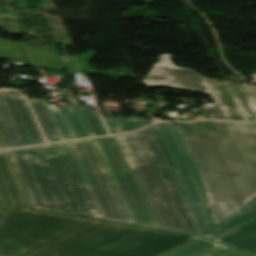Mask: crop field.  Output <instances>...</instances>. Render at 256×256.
<instances>
[{
    "mask_svg": "<svg viewBox=\"0 0 256 256\" xmlns=\"http://www.w3.org/2000/svg\"><path fill=\"white\" fill-rule=\"evenodd\" d=\"M193 238L27 209L0 220V256H158Z\"/></svg>",
    "mask_w": 256,
    "mask_h": 256,
    "instance_id": "8a807250",
    "label": "crop field"
},
{
    "mask_svg": "<svg viewBox=\"0 0 256 256\" xmlns=\"http://www.w3.org/2000/svg\"><path fill=\"white\" fill-rule=\"evenodd\" d=\"M116 137L160 229L201 235L215 225L197 168L173 123Z\"/></svg>",
    "mask_w": 256,
    "mask_h": 256,
    "instance_id": "ac0d7876",
    "label": "crop field"
},
{
    "mask_svg": "<svg viewBox=\"0 0 256 256\" xmlns=\"http://www.w3.org/2000/svg\"><path fill=\"white\" fill-rule=\"evenodd\" d=\"M200 173L215 223L256 196V135L248 123H177Z\"/></svg>",
    "mask_w": 256,
    "mask_h": 256,
    "instance_id": "34b2d1b8",
    "label": "crop field"
},
{
    "mask_svg": "<svg viewBox=\"0 0 256 256\" xmlns=\"http://www.w3.org/2000/svg\"><path fill=\"white\" fill-rule=\"evenodd\" d=\"M8 151L32 207L101 219L64 142Z\"/></svg>",
    "mask_w": 256,
    "mask_h": 256,
    "instance_id": "412701ff",
    "label": "crop field"
},
{
    "mask_svg": "<svg viewBox=\"0 0 256 256\" xmlns=\"http://www.w3.org/2000/svg\"><path fill=\"white\" fill-rule=\"evenodd\" d=\"M170 57V54L159 56V64L154 65L143 82L148 86L210 92L216 104L205 107V119L256 121V110L252 109L256 101L245 85L208 80L189 68L174 66Z\"/></svg>",
    "mask_w": 256,
    "mask_h": 256,
    "instance_id": "f4fd0767",
    "label": "crop field"
},
{
    "mask_svg": "<svg viewBox=\"0 0 256 256\" xmlns=\"http://www.w3.org/2000/svg\"><path fill=\"white\" fill-rule=\"evenodd\" d=\"M102 219L134 224L95 139L66 142Z\"/></svg>",
    "mask_w": 256,
    "mask_h": 256,
    "instance_id": "dd49c442",
    "label": "crop field"
},
{
    "mask_svg": "<svg viewBox=\"0 0 256 256\" xmlns=\"http://www.w3.org/2000/svg\"><path fill=\"white\" fill-rule=\"evenodd\" d=\"M96 140L135 224L159 229L116 137Z\"/></svg>",
    "mask_w": 256,
    "mask_h": 256,
    "instance_id": "e52e79f7",
    "label": "crop field"
},
{
    "mask_svg": "<svg viewBox=\"0 0 256 256\" xmlns=\"http://www.w3.org/2000/svg\"><path fill=\"white\" fill-rule=\"evenodd\" d=\"M0 130L8 148L45 143L19 90L0 89Z\"/></svg>",
    "mask_w": 256,
    "mask_h": 256,
    "instance_id": "d8731c3e",
    "label": "crop field"
},
{
    "mask_svg": "<svg viewBox=\"0 0 256 256\" xmlns=\"http://www.w3.org/2000/svg\"><path fill=\"white\" fill-rule=\"evenodd\" d=\"M0 203L31 208L7 150L0 151Z\"/></svg>",
    "mask_w": 256,
    "mask_h": 256,
    "instance_id": "5a996713",
    "label": "crop field"
},
{
    "mask_svg": "<svg viewBox=\"0 0 256 256\" xmlns=\"http://www.w3.org/2000/svg\"><path fill=\"white\" fill-rule=\"evenodd\" d=\"M256 219V197L236 210L219 224L213 226L202 236L213 240L252 220Z\"/></svg>",
    "mask_w": 256,
    "mask_h": 256,
    "instance_id": "3316defc",
    "label": "crop field"
},
{
    "mask_svg": "<svg viewBox=\"0 0 256 256\" xmlns=\"http://www.w3.org/2000/svg\"><path fill=\"white\" fill-rule=\"evenodd\" d=\"M215 241L256 256V221Z\"/></svg>",
    "mask_w": 256,
    "mask_h": 256,
    "instance_id": "28ad6ade",
    "label": "crop field"
},
{
    "mask_svg": "<svg viewBox=\"0 0 256 256\" xmlns=\"http://www.w3.org/2000/svg\"><path fill=\"white\" fill-rule=\"evenodd\" d=\"M71 105L59 108L75 138L94 136L89 123L75 97H68Z\"/></svg>",
    "mask_w": 256,
    "mask_h": 256,
    "instance_id": "d1516ede",
    "label": "crop field"
},
{
    "mask_svg": "<svg viewBox=\"0 0 256 256\" xmlns=\"http://www.w3.org/2000/svg\"><path fill=\"white\" fill-rule=\"evenodd\" d=\"M31 107L48 142L64 140L45 100L30 99Z\"/></svg>",
    "mask_w": 256,
    "mask_h": 256,
    "instance_id": "22f410ed",
    "label": "crop field"
},
{
    "mask_svg": "<svg viewBox=\"0 0 256 256\" xmlns=\"http://www.w3.org/2000/svg\"><path fill=\"white\" fill-rule=\"evenodd\" d=\"M34 65L54 69H65L55 46H37L26 44Z\"/></svg>",
    "mask_w": 256,
    "mask_h": 256,
    "instance_id": "cbeb9de0",
    "label": "crop field"
},
{
    "mask_svg": "<svg viewBox=\"0 0 256 256\" xmlns=\"http://www.w3.org/2000/svg\"><path fill=\"white\" fill-rule=\"evenodd\" d=\"M220 247V245L211 243L200 237H197L179 247H176L160 256H201L211 250Z\"/></svg>",
    "mask_w": 256,
    "mask_h": 256,
    "instance_id": "5142ce71",
    "label": "crop field"
},
{
    "mask_svg": "<svg viewBox=\"0 0 256 256\" xmlns=\"http://www.w3.org/2000/svg\"><path fill=\"white\" fill-rule=\"evenodd\" d=\"M0 58L29 60L23 43L0 39Z\"/></svg>",
    "mask_w": 256,
    "mask_h": 256,
    "instance_id": "d9b57169",
    "label": "crop field"
},
{
    "mask_svg": "<svg viewBox=\"0 0 256 256\" xmlns=\"http://www.w3.org/2000/svg\"><path fill=\"white\" fill-rule=\"evenodd\" d=\"M109 119L116 133L138 129L150 124L149 120L135 118V117H127V118L111 117Z\"/></svg>",
    "mask_w": 256,
    "mask_h": 256,
    "instance_id": "733c2abd",
    "label": "crop field"
},
{
    "mask_svg": "<svg viewBox=\"0 0 256 256\" xmlns=\"http://www.w3.org/2000/svg\"><path fill=\"white\" fill-rule=\"evenodd\" d=\"M89 123H90V126L94 132V135L95 136H98V135H108L99 115L95 114V113H92L89 111V109L87 107L85 108H82Z\"/></svg>",
    "mask_w": 256,
    "mask_h": 256,
    "instance_id": "4a817a6b",
    "label": "crop field"
},
{
    "mask_svg": "<svg viewBox=\"0 0 256 256\" xmlns=\"http://www.w3.org/2000/svg\"><path fill=\"white\" fill-rule=\"evenodd\" d=\"M68 73H85L77 56H60Z\"/></svg>",
    "mask_w": 256,
    "mask_h": 256,
    "instance_id": "bc2a9ffb",
    "label": "crop field"
},
{
    "mask_svg": "<svg viewBox=\"0 0 256 256\" xmlns=\"http://www.w3.org/2000/svg\"><path fill=\"white\" fill-rule=\"evenodd\" d=\"M49 107L54 115V118L60 128V131L64 137L65 140L67 139H72L73 136L70 133V131L68 130L67 126L65 125V123L63 122L62 118L60 117L56 107L54 106V104H49Z\"/></svg>",
    "mask_w": 256,
    "mask_h": 256,
    "instance_id": "214f88e0",
    "label": "crop field"
},
{
    "mask_svg": "<svg viewBox=\"0 0 256 256\" xmlns=\"http://www.w3.org/2000/svg\"><path fill=\"white\" fill-rule=\"evenodd\" d=\"M205 256H248V255L223 246L222 248Z\"/></svg>",
    "mask_w": 256,
    "mask_h": 256,
    "instance_id": "92a150f3",
    "label": "crop field"
},
{
    "mask_svg": "<svg viewBox=\"0 0 256 256\" xmlns=\"http://www.w3.org/2000/svg\"><path fill=\"white\" fill-rule=\"evenodd\" d=\"M95 55V52H87V53H82L79 55L80 61L87 72V74H98L97 70H91L88 66L89 60Z\"/></svg>",
    "mask_w": 256,
    "mask_h": 256,
    "instance_id": "dafd665d",
    "label": "crop field"
},
{
    "mask_svg": "<svg viewBox=\"0 0 256 256\" xmlns=\"http://www.w3.org/2000/svg\"><path fill=\"white\" fill-rule=\"evenodd\" d=\"M0 207L4 208V209H9V210H15V209L20 208V207H16V206H8V205H1V204H0Z\"/></svg>",
    "mask_w": 256,
    "mask_h": 256,
    "instance_id": "00972430",
    "label": "crop field"
},
{
    "mask_svg": "<svg viewBox=\"0 0 256 256\" xmlns=\"http://www.w3.org/2000/svg\"><path fill=\"white\" fill-rule=\"evenodd\" d=\"M101 116H102V118H103V120H104V122H105V124H106V126H107V128H108V130L110 132V134H113V132H112V130H111L109 124H108V121L106 119V116L105 115H101Z\"/></svg>",
    "mask_w": 256,
    "mask_h": 256,
    "instance_id": "a9b5d70f",
    "label": "crop field"
},
{
    "mask_svg": "<svg viewBox=\"0 0 256 256\" xmlns=\"http://www.w3.org/2000/svg\"><path fill=\"white\" fill-rule=\"evenodd\" d=\"M4 148H7V147H6L5 142L2 138V135L0 133V149H4Z\"/></svg>",
    "mask_w": 256,
    "mask_h": 256,
    "instance_id": "4177f3b9",
    "label": "crop field"
},
{
    "mask_svg": "<svg viewBox=\"0 0 256 256\" xmlns=\"http://www.w3.org/2000/svg\"><path fill=\"white\" fill-rule=\"evenodd\" d=\"M8 212H9V211H5V210H3V209H0V219H1L4 215H6Z\"/></svg>",
    "mask_w": 256,
    "mask_h": 256,
    "instance_id": "730fd06b",
    "label": "crop field"
},
{
    "mask_svg": "<svg viewBox=\"0 0 256 256\" xmlns=\"http://www.w3.org/2000/svg\"><path fill=\"white\" fill-rule=\"evenodd\" d=\"M250 126L253 128V130L255 131V133H256V123H252V124H250ZM256 135V134H255Z\"/></svg>",
    "mask_w": 256,
    "mask_h": 256,
    "instance_id": "eef30255",
    "label": "crop field"
},
{
    "mask_svg": "<svg viewBox=\"0 0 256 256\" xmlns=\"http://www.w3.org/2000/svg\"><path fill=\"white\" fill-rule=\"evenodd\" d=\"M0 11H3V12H5V13L9 14V12H8L7 10L0 9Z\"/></svg>",
    "mask_w": 256,
    "mask_h": 256,
    "instance_id": "ae1a2a85",
    "label": "crop field"
},
{
    "mask_svg": "<svg viewBox=\"0 0 256 256\" xmlns=\"http://www.w3.org/2000/svg\"><path fill=\"white\" fill-rule=\"evenodd\" d=\"M253 92L255 93V95H256V90H253Z\"/></svg>",
    "mask_w": 256,
    "mask_h": 256,
    "instance_id": "d3111659",
    "label": "crop field"
}]
</instances>
